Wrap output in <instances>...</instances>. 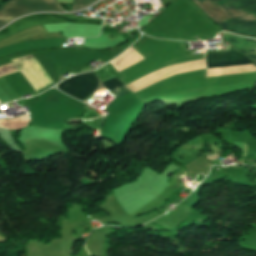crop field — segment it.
Returning <instances> with one entry per match:
<instances>
[{"mask_svg":"<svg viewBox=\"0 0 256 256\" xmlns=\"http://www.w3.org/2000/svg\"><path fill=\"white\" fill-rule=\"evenodd\" d=\"M192 1L217 23L222 31L256 38V0Z\"/></svg>","mask_w":256,"mask_h":256,"instance_id":"obj_1","label":"crop field"},{"mask_svg":"<svg viewBox=\"0 0 256 256\" xmlns=\"http://www.w3.org/2000/svg\"><path fill=\"white\" fill-rule=\"evenodd\" d=\"M120 85L122 83L116 78L101 82L94 72H90L69 78L57 88L82 101L103 87L110 91Z\"/></svg>","mask_w":256,"mask_h":256,"instance_id":"obj_2","label":"crop field"},{"mask_svg":"<svg viewBox=\"0 0 256 256\" xmlns=\"http://www.w3.org/2000/svg\"><path fill=\"white\" fill-rule=\"evenodd\" d=\"M103 20L56 14H36L19 20L0 31V40L39 24L79 23L101 25Z\"/></svg>","mask_w":256,"mask_h":256,"instance_id":"obj_3","label":"crop field"},{"mask_svg":"<svg viewBox=\"0 0 256 256\" xmlns=\"http://www.w3.org/2000/svg\"><path fill=\"white\" fill-rule=\"evenodd\" d=\"M34 11H63L57 0H10L0 6V27Z\"/></svg>","mask_w":256,"mask_h":256,"instance_id":"obj_4","label":"crop field"},{"mask_svg":"<svg viewBox=\"0 0 256 256\" xmlns=\"http://www.w3.org/2000/svg\"><path fill=\"white\" fill-rule=\"evenodd\" d=\"M227 42L232 44L233 50L245 55L256 63V40L243 38L231 35L229 33H222Z\"/></svg>","mask_w":256,"mask_h":256,"instance_id":"obj_5","label":"crop field"},{"mask_svg":"<svg viewBox=\"0 0 256 256\" xmlns=\"http://www.w3.org/2000/svg\"><path fill=\"white\" fill-rule=\"evenodd\" d=\"M207 69L252 64L247 59L206 62Z\"/></svg>","mask_w":256,"mask_h":256,"instance_id":"obj_6","label":"crop field"},{"mask_svg":"<svg viewBox=\"0 0 256 256\" xmlns=\"http://www.w3.org/2000/svg\"><path fill=\"white\" fill-rule=\"evenodd\" d=\"M95 0H73V8L72 10L83 8L94 2ZM68 10V11H72Z\"/></svg>","mask_w":256,"mask_h":256,"instance_id":"obj_7","label":"crop field"}]
</instances>
